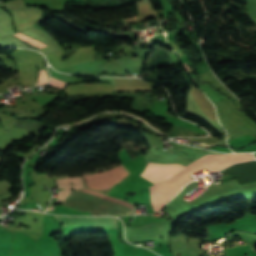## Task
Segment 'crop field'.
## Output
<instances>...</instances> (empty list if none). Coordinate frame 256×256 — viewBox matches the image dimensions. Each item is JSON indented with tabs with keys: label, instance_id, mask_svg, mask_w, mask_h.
<instances>
[{
	"label": "crop field",
	"instance_id": "1",
	"mask_svg": "<svg viewBox=\"0 0 256 256\" xmlns=\"http://www.w3.org/2000/svg\"><path fill=\"white\" fill-rule=\"evenodd\" d=\"M252 159H254V156L249 153L223 155L208 154L187 167L148 163L141 176L156 184L149 188L151 204L154 213H156L177 193L181 188L182 183L190 180L187 177L191 174L203 169L221 170L235 162Z\"/></svg>",
	"mask_w": 256,
	"mask_h": 256
},
{
	"label": "crop field",
	"instance_id": "2",
	"mask_svg": "<svg viewBox=\"0 0 256 256\" xmlns=\"http://www.w3.org/2000/svg\"><path fill=\"white\" fill-rule=\"evenodd\" d=\"M63 205L71 209L88 211L94 215L104 216L132 214L135 208L133 205L86 189L73 191L63 202Z\"/></svg>",
	"mask_w": 256,
	"mask_h": 256
},
{
	"label": "crop field",
	"instance_id": "3",
	"mask_svg": "<svg viewBox=\"0 0 256 256\" xmlns=\"http://www.w3.org/2000/svg\"><path fill=\"white\" fill-rule=\"evenodd\" d=\"M129 174V171L120 165L105 172L84 176L83 180L86 188L107 195L114 185L123 181Z\"/></svg>",
	"mask_w": 256,
	"mask_h": 256
},
{
	"label": "crop field",
	"instance_id": "4",
	"mask_svg": "<svg viewBox=\"0 0 256 256\" xmlns=\"http://www.w3.org/2000/svg\"><path fill=\"white\" fill-rule=\"evenodd\" d=\"M54 216L64 227L90 226L94 228L117 229V218Z\"/></svg>",
	"mask_w": 256,
	"mask_h": 256
},
{
	"label": "crop field",
	"instance_id": "5",
	"mask_svg": "<svg viewBox=\"0 0 256 256\" xmlns=\"http://www.w3.org/2000/svg\"><path fill=\"white\" fill-rule=\"evenodd\" d=\"M57 183L59 188H64V190L58 192V199L56 203L63 202L73 189L84 187L81 177L59 179L57 180ZM70 183H74L75 185L72 186Z\"/></svg>",
	"mask_w": 256,
	"mask_h": 256
},
{
	"label": "crop field",
	"instance_id": "6",
	"mask_svg": "<svg viewBox=\"0 0 256 256\" xmlns=\"http://www.w3.org/2000/svg\"><path fill=\"white\" fill-rule=\"evenodd\" d=\"M14 35H16V36H18V37L28 41L30 44H32L33 46H36V47L42 48L44 46H47V45H45L43 43H40V42H38V41H36V40H34V39L24 35V34H21V33H17V34H14Z\"/></svg>",
	"mask_w": 256,
	"mask_h": 256
},
{
	"label": "crop field",
	"instance_id": "7",
	"mask_svg": "<svg viewBox=\"0 0 256 256\" xmlns=\"http://www.w3.org/2000/svg\"><path fill=\"white\" fill-rule=\"evenodd\" d=\"M47 75H46V72L44 70H40V77H39V80H38V84H45L47 83Z\"/></svg>",
	"mask_w": 256,
	"mask_h": 256
},
{
	"label": "crop field",
	"instance_id": "8",
	"mask_svg": "<svg viewBox=\"0 0 256 256\" xmlns=\"http://www.w3.org/2000/svg\"><path fill=\"white\" fill-rule=\"evenodd\" d=\"M49 85L62 89L64 87L65 83L56 81V80L51 78V83Z\"/></svg>",
	"mask_w": 256,
	"mask_h": 256
},
{
	"label": "crop field",
	"instance_id": "9",
	"mask_svg": "<svg viewBox=\"0 0 256 256\" xmlns=\"http://www.w3.org/2000/svg\"><path fill=\"white\" fill-rule=\"evenodd\" d=\"M251 247H254V246L250 245L249 251H248V256H256V252L251 251Z\"/></svg>",
	"mask_w": 256,
	"mask_h": 256
}]
</instances>
